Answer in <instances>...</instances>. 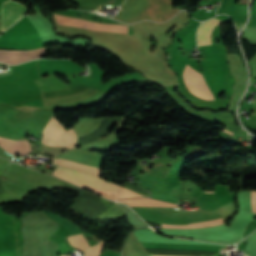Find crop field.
Wrapping results in <instances>:
<instances>
[{
    "mask_svg": "<svg viewBox=\"0 0 256 256\" xmlns=\"http://www.w3.org/2000/svg\"><path fill=\"white\" fill-rule=\"evenodd\" d=\"M53 175L63 178L77 186L95 192L111 200L114 199V197L121 189V187L109 183L98 177L59 166H57Z\"/></svg>",
    "mask_w": 256,
    "mask_h": 256,
    "instance_id": "1",
    "label": "crop field"
},
{
    "mask_svg": "<svg viewBox=\"0 0 256 256\" xmlns=\"http://www.w3.org/2000/svg\"><path fill=\"white\" fill-rule=\"evenodd\" d=\"M43 134L42 143L53 146H66L68 148H74L76 145L77 137L75 133L71 129L64 130V126L54 116L46 126Z\"/></svg>",
    "mask_w": 256,
    "mask_h": 256,
    "instance_id": "2",
    "label": "crop field"
},
{
    "mask_svg": "<svg viewBox=\"0 0 256 256\" xmlns=\"http://www.w3.org/2000/svg\"><path fill=\"white\" fill-rule=\"evenodd\" d=\"M55 15V14H54ZM57 24L94 29L98 31L126 33L127 26L108 25L97 22L55 15Z\"/></svg>",
    "mask_w": 256,
    "mask_h": 256,
    "instance_id": "3",
    "label": "crop field"
},
{
    "mask_svg": "<svg viewBox=\"0 0 256 256\" xmlns=\"http://www.w3.org/2000/svg\"><path fill=\"white\" fill-rule=\"evenodd\" d=\"M182 77L188 90L194 95L201 98L213 99L201 74L192 69L190 66L186 65Z\"/></svg>",
    "mask_w": 256,
    "mask_h": 256,
    "instance_id": "4",
    "label": "crop field"
},
{
    "mask_svg": "<svg viewBox=\"0 0 256 256\" xmlns=\"http://www.w3.org/2000/svg\"><path fill=\"white\" fill-rule=\"evenodd\" d=\"M26 12L25 5L11 0L3 2L1 33L15 23Z\"/></svg>",
    "mask_w": 256,
    "mask_h": 256,
    "instance_id": "5",
    "label": "crop field"
},
{
    "mask_svg": "<svg viewBox=\"0 0 256 256\" xmlns=\"http://www.w3.org/2000/svg\"><path fill=\"white\" fill-rule=\"evenodd\" d=\"M47 48H40L34 51H7L0 50V62L19 64L33 58H40L45 55Z\"/></svg>",
    "mask_w": 256,
    "mask_h": 256,
    "instance_id": "6",
    "label": "crop field"
},
{
    "mask_svg": "<svg viewBox=\"0 0 256 256\" xmlns=\"http://www.w3.org/2000/svg\"><path fill=\"white\" fill-rule=\"evenodd\" d=\"M144 248H168V249H183V250H207L220 252L224 247L201 244H181V243H154L141 242ZM159 256V255H150Z\"/></svg>",
    "mask_w": 256,
    "mask_h": 256,
    "instance_id": "7",
    "label": "crop field"
},
{
    "mask_svg": "<svg viewBox=\"0 0 256 256\" xmlns=\"http://www.w3.org/2000/svg\"><path fill=\"white\" fill-rule=\"evenodd\" d=\"M127 3L128 1L125 0L123 5L126 6ZM149 4V0H130L117 17L126 21L136 19L148 8Z\"/></svg>",
    "mask_w": 256,
    "mask_h": 256,
    "instance_id": "8",
    "label": "crop field"
},
{
    "mask_svg": "<svg viewBox=\"0 0 256 256\" xmlns=\"http://www.w3.org/2000/svg\"><path fill=\"white\" fill-rule=\"evenodd\" d=\"M0 145L3 146L7 151H9L12 154L29 155L30 153V147L27 140L12 141L10 139L0 138Z\"/></svg>",
    "mask_w": 256,
    "mask_h": 256,
    "instance_id": "9",
    "label": "crop field"
},
{
    "mask_svg": "<svg viewBox=\"0 0 256 256\" xmlns=\"http://www.w3.org/2000/svg\"><path fill=\"white\" fill-rule=\"evenodd\" d=\"M218 21L219 20L212 18L210 20L205 21L201 25L198 32V46L211 44V41H210L211 30L216 24H218Z\"/></svg>",
    "mask_w": 256,
    "mask_h": 256,
    "instance_id": "10",
    "label": "crop field"
},
{
    "mask_svg": "<svg viewBox=\"0 0 256 256\" xmlns=\"http://www.w3.org/2000/svg\"><path fill=\"white\" fill-rule=\"evenodd\" d=\"M50 161H52L53 164L69 167L72 169L88 172L93 175L99 176L100 169L98 168H94V167H90V166H86V165H82V164H78V163H74V162H70L62 159H52Z\"/></svg>",
    "mask_w": 256,
    "mask_h": 256,
    "instance_id": "11",
    "label": "crop field"
},
{
    "mask_svg": "<svg viewBox=\"0 0 256 256\" xmlns=\"http://www.w3.org/2000/svg\"><path fill=\"white\" fill-rule=\"evenodd\" d=\"M119 202H126L129 206H165V207H178L176 205H172L169 203L153 200V199H146V198H137V199H125L119 200Z\"/></svg>",
    "mask_w": 256,
    "mask_h": 256,
    "instance_id": "12",
    "label": "crop field"
},
{
    "mask_svg": "<svg viewBox=\"0 0 256 256\" xmlns=\"http://www.w3.org/2000/svg\"><path fill=\"white\" fill-rule=\"evenodd\" d=\"M68 242L79 249H81L83 252L86 248H88L84 238L82 235H77V236H69L68 237Z\"/></svg>",
    "mask_w": 256,
    "mask_h": 256,
    "instance_id": "13",
    "label": "crop field"
},
{
    "mask_svg": "<svg viewBox=\"0 0 256 256\" xmlns=\"http://www.w3.org/2000/svg\"><path fill=\"white\" fill-rule=\"evenodd\" d=\"M103 245L104 243L100 242L98 245L90 248L85 252V256H98L103 249Z\"/></svg>",
    "mask_w": 256,
    "mask_h": 256,
    "instance_id": "14",
    "label": "crop field"
},
{
    "mask_svg": "<svg viewBox=\"0 0 256 256\" xmlns=\"http://www.w3.org/2000/svg\"><path fill=\"white\" fill-rule=\"evenodd\" d=\"M141 195H138L136 193H133L129 190H126L124 188H122V190L119 192V194L115 197V201L119 198H126V197H139Z\"/></svg>",
    "mask_w": 256,
    "mask_h": 256,
    "instance_id": "15",
    "label": "crop field"
},
{
    "mask_svg": "<svg viewBox=\"0 0 256 256\" xmlns=\"http://www.w3.org/2000/svg\"><path fill=\"white\" fill-rule=\"evenodd\" d=\"M254 212L256 213V191H253Z\"/></svg>",
    "mask_w": 256,
    "mask_h": 256,
    "instance_id": "16",
    "label": "crop field"
},
{
    "mask_svg": "<svg viewBox=\"0 0 256 256\" xmlns=\"http://www.w3.org/2000/svg\"><path fill=\"white\" fill-rule=\"evenodd\" d=\"M126 187V186H125ZM128 188V187H127ZM130 189V188H129ZM132 190V189H131ZM134 191V190H133ZM136 192V191H135ZM139 193V192H138ZM141 194V193H140Z\"/></svg>",
    "mask_w": 256,
    "mask_h": 256,
    "instance_id": "17",
    "label": "crop field"
},
{
    "mask_svg": "<svg viewBox=\"0 0 256 256\" xmlns=\"http://www.w3.org/2000/svg\"><path fill=\"white\" fill-rule=\"evenodd\" d=\"M227 189H229V186H227Z\"/></svg>",
    "mask_w": 256,
    "mask_h": 256,
    "instance_id": "18",
    "label": "crop field"
}]
</instances>
